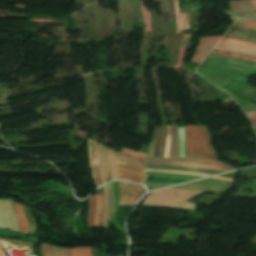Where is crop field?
I'll return each mask as SVG.
<instances>
[{
	"label": "crop field",
	"instance_id": "214f88e0",
	"mask_svg": "<svg viewBox=\"0 0 256 256\" xmlns=\"http://www.w3.org/2000/svg\"><path fill=\"white\" fill-rule=\"evenodd\" d=\"M102 160H103V166H104V172H105V179L107 182L111 180V177H110V169H109V161H108V149L104 146H102Z\"/></svg>",
	"mask_w": 256,
	"mask_h": 256
},
{
	"label": "crop field",
	"instance_id": "4177f3b9",
	"mask_svg": "<svg viewBox=\"0 0 256 256\" xmlns=\"http://www.w3.org/2000/svg\"><path fill=\"white\" fill-rule=\"evenodd\" d=\"M109 161H110V169H111V176L112 180L117 179V174H116V165H115V157H114V152L112 148H109Z\"/></svg>",
	"mask_w": 256,
	"mask_h": 256
},
{
	"label": "crop field",
	"instance_id": "cbeb9de0",
	"mask_svg": "<svg viewBox=\"0 0 256 256\" xmlns=\"http://www.w3.org/2000/svg\"><path fill=\"white\" fill-rule=\"evenodd\" d=\"M90 160H91V165L95 177V184L96 187L102 185L101 182V176H100V170H99V164H98V156H97V149H96V143L90 142Z\"/></svg>",
	"mask_w": 256,
	"mask_h": 256
},
{
	"label": "crop field",
	"instance_id": "bc2a9ffb",
	"mask_svg": "<svg viewBox=\"0 0 256 256\" xmlns=\"http://www.w3.org/2000/svg\"><path fill=\"white\" fill-rule=\"evenodd\" d=\"M231 10L256 9L249 1H229Z\"/></svg>",
	"mask_w": 256,
	"mask_h": 256
},
{
	"label": "crop field",
	"instance_id": "8a807250",
	"mask_svg": "<svg viewBox=\"0 0 256 256\" xmlns=\"http://www.w3.org/2000/svg\"><path fill=\"white\" fill-rule=\"evenodd\" d=\"M197 71L246 83L256 73V63L208 54Z\"/></svg>",
	"mask_w": 256,
	"mask_h": 256
},
{
	"label": "crop field",
	"instance_id": "d23c7cc5",
	"mask_svg": "<svg viewBox=\"0 0 256 256\" xmlns=\"http://www.w3.org/2000/svg\"><path fill=\"white\" fill-rule=\"evenodd\" d=\"M256 7V0H250Z\"/></svg>",
	"mask_w": 256,
	"mask_h": 256
},
{
	"label": "crop field",
	"instance_id": "1d83c4d3",
	"mask_svg": "<svg viewBox=\"0 0 256 256\" xmlns=\"http://www.w3.org/2000/svg\"><path fill=\"white\" fill-rule=\"evenodd\" d=\"M99 211H100V194H97L94 227H97L98 225Z\"/></svg>",
	"mask_w": 256,
	"mask_h": 256
},
{
	"label": "crop field",
	"instance_id": "750c4746",
	"mask_svg": "<svg viewBox=\"0 0 256 256\" xmlns=\"http://www.w3.org/2000/svg\"><path fill=\"white\" fill-rule=\"evenodd\" d=\"M175 188L193 189V190H199V191H204V192L224 193V191H221V190H210V189H205V188H200V187H192V186H185V185L176 186Z\"/></svg>",
	"mask_w": 256,
	"mask_h": 256
},
{
	"label": "crop field",
	"instance_id": "ac0d7876",
	"mask_svg": "<svg viewBox=\"0 0 256 256\" xmlns=\"http://www.w3.org/2000/svg\"><path fill=\"white\" fill-rule=\"evenodd\" d=\"M185 157L217 159L206 127L186 126Z\"/></svg>",
	"mask_w": 256,
	"mask_h": 256
},
{
	"label": "crop field",
	"instance_id": "34b2d1b8",
	"mask_svg": "<svg viewBox=\"0 0 256 256\" xmlns=\"http://www.w3.org/2000/svg\"><path fill=\"white\" fill-rule=\"evenodd\" d=\"M197 193L199 192L168 188L150 194L143 204L193 209L195 204L184 200Z\"/></svg>",
	"mask_w": 256,
	"mask_h": 256
},
{
	"label": "crop field",
	"instance_id": "00972430",
	"mask_svg": "<svg viewBox=\"0 0 256 256\" xmlns=\"http://www.w3.org/2000/svg\"><path fill=\"white\" fill-rule=\"evenodd\" d=\"M178 152L179 157H184V127H178Z\"/></svg>",
	"mask_w": 256,
	"mask_h": 256
},
{
	"label": "crop field",
	"instance_id": "730fd06b",
	"mask_svg": "<svg viewBox=\"0 0 256 256\" xmlns=\"http://www.w3.org/2000/svg\"><path fill=\"white\" fill-rule=\"evenodd\" d=\"M72 256H91V247L71 249Z\"/></svg>",
	"mask_w": 256,
	"mask_h": 256
},
{
	"label": "crop field",
	"instance_id": "d3111659",
	"mask_svg": "<svg viewBox=\"0 0 256 256\" xmlns=\"http://www.w3.org/2000/svg\"><path fill=\"white\" fill-rule=\"evenodd\" d=\"M0 241H5L8 245H12V246L31 248V245L26 244L22 241L11 240V239H1V238H0Z\"/></svg>",
	"mask_w": 256,
	"mask_h": 256
},
{
	"label": "crop field",
	"instance_id": "d1516ede",
	"mask_svg": "<svg viewBox=\"0 0 256 256\" xmlns=\"http://www.w3.org/2000/svg\"><path fill=\"white\" fill-rule=\"evenodd\" d=\"M225 37H231V38L256 42V30L233 26L229 30V32L225 35Z\"/></svg>",
	"mask_w": 256,
	"mask_h": 256
},
{
	"label": "crop field",
	"instance_id": "a9b5d70f",
	"mask_svg": "<svg viewBox=\"0 0 256 256\" xmlns=\"http://www.w3.org/2000/svg\"><path fill=\"white\" fill-rule=\"evenodd\" d=\"M112 184H113V188H114L115 212H114L113 217H112L111 225L114 224L115 215H116V212H117V209H118V206H119V188H118V183H117V181H113Z\"/></svg>",
	"mask_w": 256,
	"mask_h": 256
},
{
	"label": "crop field",
	"instance_id": "733c2abd",
	"mask_svg": "<svg viewBox=\"0 0 256 256\" xmlns=\"http://www.w3.org/2000/svg\"><path fill=\"white\" fill-rule=\"evenodd\" d=\"M15 207L19 221L20 232L29 233V225L24 214L23 206L15 203Z\"/></svg>",
	"mask_w": 256,
	"mask_h": 256
},
{
	"label": "crop field",
	"instance_id": "bd1437ed",
	"mask_svg": "<svg viewBox=\"0 0 256 256\" xmlns=\"http://www.w3.org/2000/svg\"><path fill=\"white\" fill-rule=\"evenodd\" d=\"M234 25L235 26H241V27L256 29V23L255 22H251V21L238 20Z\"/></svg>",
	"mask_w": 256,
	"mask_h": 256
},
{
	"label": "crop field",
	"instance_id": "d8731c3e",
	"mask_svg": "<svg viewBox=\"0 0 256 256\" xmlns=\"http://www.w3.org/2000/svg\"><path fill=\"white\" fill-rule=\"evenodd\" d=\"M146 175H152L153 179L145 182H165V183H180L189 180L201 178L200 176L171 174L162 172H146Z\"/></svg>",
	"mask_w": 256,
	"mask_h": 256
},
{
	"label": "crop field",
	"instance_id": "5a996713",
	"mask_svg": "<svg viewBox=\"0 0 256 256\" xmlns=\"http://www.w3.org/2000/svg\"><path fill=\"white\" fill-rule=\"evenodd\" d=\"M221 36L200 38L197 51L192 61L200 63L203 57L209 52V50L216 44Z\"/></svg>",
	"mask_w": 256,
	"mask_h": 256
},
{
	"label": "crop field",
	"instance_id": "ae1a2a85",
	"mask_svg": "<svg viewBox=\"0 0 256 256\" xmlns=\"http://www.w3.org/2000/svg\"><path fill=\"white\" fill-rule=\"evenodd\" d=\"M107 187H108V191H109V206H110L108 220H110L111 216H112V213H113V209H114V204H113V188H112V184L111 183L107 184Z\"/></svg>",
	"mask_w": 256,
	"mask_h": 256
},
{
	"label": "crop field",
	"instance_id": "0bd39190",
	"mask_svg": "<svg viewBox=\"0 0 256 256\" xmlns=\"http://www.w3.org/2000/svg\"><path fill=\"white\" fill-rule=\"evenodd\" d=\"M43 245H44V256H52L50 245L49 244H43Z\"/></svg>",
	"mask_w": 256,
	"mask_h": 256
},
{
	"label": "crop field",
	"instance_id": "25e5ab78",
	"mask_svg": "<svg viewBox=\"0 0 256 256\" xmlns=\"http://www.w3.org/2000/svg\"><path fill=\"white\" fill-rule=\"evenodd\" d=\"M121 256V255H120Z\"/></svg>",
	"mask_w": 256,
	"mask_h": 256
},
{
	"label": "crop field",
	"instance_id": "5d738f31",
	"mask_svg": "<svg viewBox=\"0 0 256 256\" xmlns=\"http://www.w3.org/2000/svg\"><path fill=\"white\" fill-rule=\"evenodd\" d=\"M0 256H6V254H5L4 251L2 250L1 246H0Z\"/></svg>",
	"mask_w": 256,
	"mask_h": 256
},
{
	"label": "crop field",
	"instance_id": "412701ff",
	"mask_svg": "<svg viewBox=\"0 0 256 256\" xmlns=\"http://www.w3.org/2000/svg\"><path fill=\"white\" fill-rule=\"evenodd\" d=\"M0 228L19 231L13 200L0 199Z\"/></svg>",
	"mask_w": 256,
	"mask_h": 256
},
{
	"label": "crop field",
	"instance_id": "dd49c442",
	"mask_svg": "<svg viewBox=\"0 0 256 256\" xmlns=\"http://www.w3.org/2000/svg\"><path fill=\"white\" fill-rule=\"evenodd\" d=\"M118 179H123L138 184H142L144 172L143 169L134 165L116 161ZM143 185V184H142Z\"/></svg>",
	"mask_w": 256,
	"mask_h": 256
},
{
	"label": "crop field",
	"instance_id": "4a817a6b",
	"mask_svg": "<svg viewBox=\"0 0 256 256\" xmlns=\"http://www.w3.org/2000/svg\"><path fill=\"white\" fill-rule=\"evenodd\" d=\"M146 163L162 164V165L194 166V167L209 168V169H216V170H222V171L228 170V169H223V168L214 167V166H208V165H202V164H191V163H180V162L147 161Z\"/></svg>",
	"mask_w": 256,
	"mask_h": 256
},
{
	"label": "crop field",
	"instance_id": "c035e120",
	"mask_svg": "<svg viewBox=\"0 0 256 256\" xmlns=\"http://www.w3.org/2000/svg\"><path fill=\"white\" fill-rule=\"evenodd\" d=\"M146 186H167L171 184H162V183H145Z\"/></svg>",
	"mask_w": 256,
	"mask_h": 256
},
{
	"label": "crop field",
	"instance_id": "c21b1889",
	"mask_svg": "<svg viewBox=\"0 0 256 256\" xmlns=\"http://www.w3.org/2000/svg\"><path fill=\"white\" fill-rule=\"evenodd\" d=\"M145 171H157V170H145ZM162 172H173V173H184V174H192V175L208 176V175H202V174L185 173V172H175V171H162Z\"/></svg>",
	"mask_w": 256,
	"mask_h": 256
},
{
	"label": "crop field",
	"instance_id": "b54c1fbb",
	"mask_svg": "<svg viewBox=\"0 0 256 256\" xmlns=\"http://www.w3.org/2000/svg\"><path fill=\"white\" fill-rule=\"evenodd\" d=\"M153 145H154V141L150 144V147H149V157H152V153H153Z\"/></svg>",
	"mask_w": 256,
	"mask_h": 256
},
{
	"label": "crop field",
	"instance_id": "03da06ac",
	"mask_svg": "<svg viewBox=\"0 0 256 256\" xmlns=\"http://www.w3.org/2000/svg\"><path fill=\"white\" fill-rule=\"evenodd\" d=\"M62 256H70V249L62 248Z\"/></svg>",
	"mask_w": 256,
	"mask_h": 256
},
{
	"label": "crop field",
	"instance_id": "425ffa30",
	"mask_svg": "<svg viewBox=\"0 0 256 256\" xmlns=\"http://www.w3.org/2000/svg\"><path fill=\"white\" fill-rule=\"evenodd\" d=\"M213 178H218V177H213ZM220 179H225V178H220ZM226 180H232V179H226ZM232 181H234V180H232Z\"/></svg>",
	"mask_w": 256,
	"mask_h": 256
},
{
	"label": "crop field",
	"instance_id": "22f410ed",
	"mask_svg": "<svg viewBox=\"0 0 256 256\" xmlns=\"http://www.w3.org/2000/svg\"><path fill=\"white\" fill-rule=\"evenodd\" d=\"M145 169L189 171V172L203 173V174H209V175L222 172V171L193 168V167L162 166V165H151V164H146Z\"/></svg>",
	"mask_w": 256,
	"mask_h": 256
},
{
	"label": "crop field",
	"instance_id": "28ad6ade",
	"mask_svg": "<svg viewBox=\"0 0 256 256\" xmlns=\"http://www.w3.org/2000/svg\"><path fill=\"white\" fill-rule=\"evenodd\" d=\"M121 152H125V153H129V154H133V155H136V156H140V157L146 158V154L145 153L137 152V151H134V150H131V149H127V148H124V147L122 148ZM121 152H116L115 151L116 154H120V155H124V156H128V157L136 158V159L140 160L142 162V165H143V162L145 160L144 158L132 156V155L121 153ZM120 155H116V160L122 161V162H126V163H130V164H134V165H136L138 167H142L143 168V166H141V162H139L138 160L132 159V158H128V157H124V156H120Z\"/></svg>",
	"mask_w": 256,
	"mask_h": 256
},
{
	"label": "crop field",
	"instance_id": "028f5c9d",
	"mask_svg": "<svg viewBox=\"0 0 256 256\" xmlns=\"http://www.w3.org/2000/svg\"><path fill=\"white\" fill-rule=\"evenodd\" d=\"M246 115L249 117L253 127L256 128V112L255 113H249V114H246Z\"/></svg>",
	"mask_w": 256,
	"mask_h": 256
},
{
	"label": "crop field",
	"instance_id": "dafd665d",
	"mask_svg": "<svg viewBox=\"0 0 256 256\" xmlns=\"http://www.w3.org/2000/svg\"><path fill=\"white\" fill-rule=\"evenodd\" d=\"M177 124L172 125V153L171 158H177Z\"/></svg>",
	"mask_w": 256,
	"mask_h": 256
},
{
	"label": "crop field",
	"instance_id": "5866460e",
	"mask_svg": "<svg viewBox=\"0 0 256 256\" xmlns=\"http://www.w3.org/2000/svg\"><path fill=\"white\" fill-rule=\"evenodd\" d=\"M103 213H104V194H101V211H100V220H99L98 227H101Z\"/></svg>",
	"mask_w": 256,
	"mask_h": 256
},
{
	"label": "crop field",
	"instance_id": "92a150f3",
	"mask_svg": "<svg viewBox=\"0 0 256 256\" xmlns=\"http://www.w3.org/2000/svg\"><path fill=\"white\" fill-rule=\"evenodd\" d=\"M96 194L90 196L89 210L87 217V225L93 226L94 210H95Z\"/></svg>",
	"mask_w": 256,
	"mask_h": 256
},
{
	"label": "crop field",
	"instance_id": "d32e631a",
	"mask_svg": "<svg viewBox=\"0 0 256 256\" xmlns=\"http://www.w3.org/2000/svg\"><path fill=\"white\" fill-rule=\"evenodd\" d=\"M97 147H98V155H99V163H100V170H101L102 181H103V183H105L104 173H103V166H102V160H101L100 144L97 143Z\"/></svg>",
	"mask_w": 256,
	"mask_h": 256
},
{
	"label": "crop field",
	"instance_id": "3316defc",
	"mask_svg": "<svg viewBox=\"0 0 256 256\" xmlns=\"http://www.w3.org/2000/svg\"><path fill=\"white\" fill-rule=\"evenodd\" d=\"M186 185H194V186H200V187H205V188H210V189H226V188L231 187L233 185V182L226 181V180H220V179L208 178V179L188 183Z\"/></svg>",
	"mask_w": 256,
	"mask_h": 256
},
{
	"label": "crop field",
	"instance_id": "eef30255",
	"mask_svg": "<svg viewBox=\"0 0 256 256\" xmlns=\"http://www.w3.org/2000/svg\"><path fill=\"white\" fill-rule=\"evenodd\" d=\"M170 145H171V126H167V138H166L164 157H170Z\"/></svg>",
	"mask_w": 256,
	"mask_h": 256
},
{
	"label": "crop field",
	"instance_id": "b80d0937",
	"mask_svg": "<svg viewBox=\"0 0 256 256\" xmlns=\"http://www.w3.org/2000/svg\"><path fill=\"white\" fill-rule=\"evenodd\" d=\"M93 252H94V256H111V255L101 253L100 250L94 249V248H93Z\"/></svg>",
	"mask_w": 256,
	"mask_h": 256
},
{
	"label": "crop field",
	"instance_id": "e1f06a70",
	"mask_svg": "<svg viewBox=\"0 0 256 256\" xmlns=\"http://www.w3.org/2000/svg\"><path fill=\"white\" fill-rule=\"evenodd\" d=\"M52 255L61 256V248L52 245Z\"/></svg>",
	"mask_w": 256,
	"mask_h": 256
},
{
	"label": "crop field",
	"instance_id": "e52e79f7",
	"mask_svg": "<svg viewBox=\"0 0 256 256\" xmlns=\"http://www.w3.org/2000/svg\"><path fill=\"white\" fill-rule=\"evenodd\" d=\"M216 47L256 54V43L222 37Z\"/></svg>",
	"mask_w": 256,
	"mask_h": 256
},
{
	"label": "crop field",
	"instance_id": "f4fd0767",
	"mask_svg": "<svg viewBox=\"0 0 256 256\" xmlns=\"http://www.w3.org/2000/svg\"><path fill=\"white\" fill-rule=\"evenodd\" d=\"M120 205H133L136 200L144 193L145 188L125 182H120Z\"/></svg>",
	"mask_w": 256,
	"mask_h": 256
},
{
	"label": "crop field",
	"instance_id": "d9b57169",
	"mask_svg": "<svg viewBox=\"0 0 256 256\" xmlns=\"http://www.w3.org/2000/svg\"><path fill=\"white\" fill-rule=\"evenodd\" d=\"M210 53L256 62V56H253V55H247V54L218 50V49H213Z\"/></svg>",
	"mask_w": 256,
	"mask_h": 256
},
{
	"label": "crop field",
	"instance_id": "120bbe31",
	"mask_svg": "<svg viewBox=\"0 0 256 256\" xmlns=\"http://www.w3.org/2000/svg\"><path fill=\"white\" fill-rule=\"evenodd\" d=\"M103 188H104V192H105V213H104V216H103L102 227H106L105 221H106V217H107V213H108V198H107V187H106V185L103 186Z\"/></svg>",
	"mask_w": 256,
	"mask_h": 256
},
{
	"label": "crop field",
	"instance_id": "5142ce71",
	"mask_svg": "<svg viewBox=\"0 0 256 256\" xmlns=\"http://www.w3.org/2000/svg\"><path fill=\"white\" fill-rule=\"evenodd\" d=\"M149 160H161V161H180V162H192V163H202V164H208V165H214V166H221V167H227L231 169H235L232 166L218 162V161H211V160H201V159H165V158H151Z\"/></svg>",
	"mask_w": 256,
	"mask_h": 256
}]
</instances>
